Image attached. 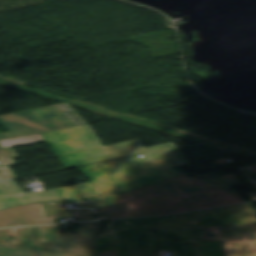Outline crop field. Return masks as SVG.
Here are the masks:
<instances>
[{
    "mask_svg": "<svg viewBox=\"0 0 256 256\" xmlns=\"http://www.w3.org/2000/svg\"><path fill=\"white\" fill-rule=\"evenodd\" d=\"M240 184L233 178L200 185L182 174L128 192L115 204L99 209L98 212L109 219H115L172 214L242 203L244 201L230 188Z\"/></svg>",
    "mask_w": 256,
    "mask_h": 256,
    "instance_id": "1",
    "label": "crop field"
},
{
    "mask_svg": "<svg viewBox=\"0 0 256 256\" xmlns=\"http://www.w3.org/2000/svg\"><path fill=\"white\" fill-rule=\"evenodd\" d=\"M252 224H256V213L251 203L168 217L112 221L116 235L98 241L96 251H118V256H130V251L157 252L149 243L148 230L153 229Z\"/></svg>",
    "mask_w": 256,
    "mask_h": 256,
    "instance_id": "2",
    "label": "crop field"
},
{
    "mask_svg": "<svg viewBox=\"0 0 256 256\" xmlns=\"http://www.w3.org/2000/svg\"><path fill=\"white\" fill-rule=\"evenodd\" d=\"M143 156L77 168L106 193L91 198L99 208L114 203L125 192L182 174L175 168L190 165L177 149Z\"/></svg>",
    "mask_w": 256,
    "mask_h": 256,
    "instance_id": "3",
    "label": "crop field"
},
{
    "mask_svg": "<svg viewBox=\"0 0 256 256\" xmlns=\"http://www.w3.org/2000/svg\"><path fill=\"white\" fill-rule=\"evenodd\" d=\"M41 135L65 168L175 147L169 143L145 148L139 139L104 147L89 124Z\"/></svg>",
    "mask_w": 256,
    "mask_h": 256,
    "instance_id": "4",
    "label": "crop field"
},
{
    "mask_svg": "<svg viewBox=\"0 0 256 256\" xmlns=\"http://www.w3.org/2000/svg\"><path fill=\"white\" fill-rule=\"evenodd\" d=\"M68 103H61L0 117V124L10 132L0 133L1 139L33 135L86 124Z\"/></svg>",
    "mask_w": 256,
    "mask_h": 256,
    "instance_id": "5",
    "label": "crop field"
},
{
    "mask_svg": "<svg viewBox=\"0 0 256 256\" xmlns=\"http://www.w3.org/2000/svg\"><path fill=\"white\" fill-rule=\"evenodd\" d=\"M100 222L79 223L76 235L63 234L47 250H11L8 256H117L95 252Z\"/></svg>",
    "mask_w": 256,
    "mask_h": 256,
    "instance_id": "6",
    "label": "crop field"
},
{
    "mask_svg": "<svg viewBox=\"0 0 256 256\" xmlns=\"http://www.w3.org/2000/svg\"><path fill=\"white\" fill-rule=\"evenodd\" d=\"M60 235L59 225L0 230V256H7L11 249H47Z\"/></svg>",
    "mask_w": 256,
    "mask_h": 256,
    "instance_id": "7",
    "label": "crop field"
},
{
    "mask_svg": "<svg viewBox=\"0 0 256 256\" xmlns=\"http://www.w3.org/2000/svg\"><path fill=\"white\" fill-rule=\"evenodd\" d=\"M61 212H74L75 217L94 220L93 211H60L45 219L42 203L0 211V227L54 223L53 217Z\"/></svg>",
    "mask_w": 256,
    "mask_h": 256,
    "instance_id": "8",
    "label": "crop field"
},
{
    "mask_svg": "<svg viewBox=\"0 0 256 256\" xmlns=\"http://www.w3.org/2000/svg\"><path fill=\"white\" fill-rule=\"evenodd\" d=\"M0 200L7 208L35 204L42 201H78L65 189L24 194L12 181L0 183Z\"/></svg>",
    "mask_w": 256,
    "mask_h": 256,
    "instance_id": "9",
    "label": "crop field"
},
{
    "mask_svg": "<svg viewBox=\"0 0 256 256\" xmlns=\"http://www.w3.org/2000/svg\"><path fill=\"white\" fill-rule=\"evenodd\" d=\"M158 250H178L185 256L184 242L204 241L203 228L159 230Z\"/></svg>",
    "mask_w": 256,
    "mask_h": 256,
    "instance_id": "10",
    "label": "crop field"
},
{
    "mask_svg": "<svg viewBox=\"0 0 256 256\" xmlns=\"http://www.w3.org/2000/svg\"><path fill=\"white\" fill-rule=\"evenodd\" d=\"M205 241L256 239V225L204 228Z\"/></svg>",
    "mask_w": 256,
    "mask_h": 256,
    "instance_id": "11",
    "label": "crop field"
},
{
    "mask_svg": "<svg viewBox=\"0 0 256 256\" xmlns=\"http://www.w3.org/2000/svg\"><path fill=\"white\" fill-rule=\"evenodd\" d=\"M186 256H224L223 241L185 243Z\"/></svg>",
    "mask_w": 256,
    "mask_h": 256,
    "instance_id": "12",
    "label": "crop field"
},
{
    "mask_svg": "<svg viewBox=\"0 0 256 256\" xmlns=\"http://www.w3.org/2000/svg\"><path fill=\"white\" fill-rule=\"evenodd\" d=\"M65 189L81 200L104 194V192L93 183H83L79 185L65 187Z\"/></svg>",
    "mask_w": 256,
    "mask_h": 256,
    "instance_id": "13",
    "label": "crop field"
},
{
    "mask_svg": "<svg viewBox=\"0 0 256 256\" xmlns=\"http://www.w3.org/2000/svg\"><path fill=\"white\" fill-rule=\"evenodd\" d=\"M17 158V155L14 153L12 149L2 150L0 151V164L1 166L13 164V160Z\"/></svg>",
    "mask_w": 256,
    "mask_h": 256,
    "instance_id": "14",
    "label": "crop field"
},
{
    "mask_svg": "<svg viewBox=\"0 0 256 256\" xmlns=\"http://www.w3.org/2000/svg\"><path fill=\"white\" fill-rule=\"evenodd\" d=\"M193 179L196 180L200 184L213 182V181H218V180H223V178H221L216 173L207 174V175L198 176V177H193Z\"/></svg>",
    "mask_w": 256,
    "mask_h": 256,
    "instance_id": "15",
    "label": "crop field"
},
{
    "mask_svg": "<svg viewBox=\"0 0 256 256\" xmlns=\"http://www.w3.org/2000/svg\"><path fill=\"white\" fill-rule=\"evenodd\" d=\"M15 177H16L15 173L12 170H10L8 167L0 169V178L2 180L15 178Z\"/></svg>",
    "mask_w": 256,
    "mask_h": 256,
    "instance_id": "16",
    "label": "crop field"
},
{
    "mask_svg": "<svg viewBox=\"0 0 256 256\" xmlns=\"http://www.w3.org/2000/svg\"><path fill=\"white\" fill-rule=\"evenodd\" d=\"M112 235V228H111V222L110 224L105 228V230L100 234V236L98 237L99 239H109L111 238Z\"/></svg>",
    "mask_w": 256,
    "mask_h": 256,
    "instance_id": "17",
    "label": "crop field"
},
{
    "mask_svg": "<svg viewBox=\"0 0 256 256\" xmlns=\"http://www.w3.org/2000/svg\"><path fill=\"white\" fill-rule=\"evenodd\" d=\"M151 247L155 246L157 237L154 232H149Z\"/></svg>",
    "mask_w": 256,
    "mask_h": 256,
    "instance_id": "18",
    "label": "crop field"
},
{
    "mask_svg": "<svg viewBox=\"0 0 256 256\" xmlns=\"http://www.w3.org/2000/svg\"><path fill=\"white\" fill-rule=\"evenodd\" d=\"M6 207L2 204V202L0 201V210L1 209H5Z\"/></svg>",
    "mask_w": 256,
    "mask_h": 256,
    "instance_id": "19",
    "label": "crop field"
}]
</instances>
